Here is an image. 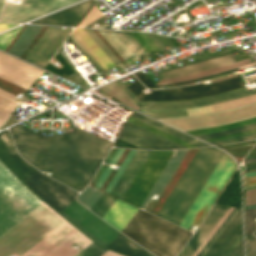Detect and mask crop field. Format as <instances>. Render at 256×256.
<instances>
[{"mask_svg": "<svg viewBox=\"0 0 256 256\" xmlns=\"http://www.w3.org/2000/svg\"><path fill=\"white\" fill-rule=\"evenodd\" d=\"M237 208L234 209V211L230 214V216L225 220V222L221 225V227L217 230V232L213 235V237L208 241V243L204 246V248L200 251V253L197 256H202L204 252L208 249V247L211 245V243L215 240V238L219 235V233L222 231V229L226 226V224L230 221V219L233 217V215L237 212Z\"/></svg>", "mask_w": 256, "mask_h": 256, "instance_id": "obj_44", "label": "crop field"}, {"mask_svg": "<svg viewBox=\"0 0 256 256\" xmlns=\"http://www.w3.org/2000/svg\"><path fill=\"white\" fill-rule=\"evenodd\" d=\"M156 36V38L161 42V44L163 45V46H167V44L169 45V46H171V47H174V45L166 38V37H162L164 40H165V42L167 43H165L164 41H163V39L160 37V36H157V35H155Z\"/></svg>", "mask_w": 256, "mask_h": 256, "instance_id": "obj_55", "label": "crop field"}, {"mask_svg": "<svg viewBox=\"0 0 256 256\" xmlns=\"http://www.w3.org/2000/svg\"><path fill=\"white\" fill-rule=\"evenodd\" d=\"M122 88L133 98V100L139 105V107H152V108H174V107H185V106H192V105H198V104H204V103H209L213 101H218V100H224L228 98H233L245 94H249L252 92H256L255 90L249 92L247 90L240 91V92H235L231 94H226L218 97H214L211 99L207 100H200V101H191V102H184V103H174V104H153V103H140V101L135 97V95L124 85V83L118 79L116 80Z\"/></svg>", "mask_w": 256, "mask_h": 256, "instance_id": "obj_23", "label": "crop field"}, {"mask_svg": "<svg viewBox=\"0 0 256 256\" xmlns=\"http://www.w3.org/2000/svg\"><path fill=\"white\" fill-rule=\"evenodd\" d=\"M77 40L88 50V52L99 62L104 70L114 67L115 65L103 53V51L94 43L83 29L76 28L72 33Z\"/></svg>", "mask_w": 256, "mask_h": 256, "instance_id": "obj_24", "label": "crop field"}, {"mask_svg": "<svg viewBox=\"0 0 256 256\" xmlns=\"http://www.w3.org/2000/svg\"><path fill=\"white\" fill-rule=\"evenodd\" d=\"M42 202L0 162V236Z\"/></svg>", "mask_w": 256, "mask_h": 256, "instance_id": "obj_5", "label": "crop field"}, {"mask_svg": "<svg viewBox=\"0 0 256 256\" xmlns=\"http://www.w3.org/2000/svg\"><path fill=\"white\" fill-rule=\"evenodd\" d=\"M111 168L107 167V169L105 170V172L103 173L102 177L100 178V180L98 181V183L96 184L95 187L99 188L102 186V184L104 183L105 179L107 178V176L109 175V173L111 172Z\"/></svg>", "mask_w": 256, "mask_h": 256, "instance_id": "obj_50", "label": "crop field"}, {"mask_svg": "<svg viewBox=\"0 0 256 256\" xmlns=\"http://www.w3.org/2000/svg\"><path fill=\"white\" fill-rule=\"evenodd\" d=\"M98 31L124 60L130 57L133 59H138V55L141 54L147 56V52L137 43L129 32L105 30Z\"/></svg>", "mask_w": 256, "mask_h": 256, "instance_id": "obj_17", "label": "crop field"}, {"mask_svg": "<svg viewBox=\"0 0 256 256\" xmlns=\"http://www.w3.org/2000/svg\"><path fill=\"white\" fill-rule=\"evenodd\" d=\"M62 222L40 204L0 237V256H21Z\"/></svg>", "mask_w": 256, "mask_h": 256, "instance_id": "obj_4", "label": "crop field"}, {"mask_svg": "<svg viewBox=\"0 0 256 256\" xmlns=\"http://www.w3.org/2000/svg\"><path fill=\"white\" fill-rule=\"evenodd\" d=\"M228 256H243L242 238Z\"/></svg>", "mask_w": 256, "mask_h": 256, "instance_id": "obj_47", "label": "crop field"}, {"mask_svg": "<svg viewBox=\"0 0 256 256\" xmlns=\"http://www.w3.org/2000/svg\"><path fill=\"white\" fill-rule=\"evenodd\" d=\"M172 154L173 151H151L123 200L140 207Z\"/></svg>", "mask_w": 256, "mask_h": 256, "instance_id": "obj_10", "label": "crop field"}, {"mask_svg": "<svg viewBox=\"0 0 256 256\" xmlns=\"http://www.w3.org/2000/svg\"><path fill=\"white\" fill-rule=\"evenodd\" d=\"M16 147L28 162L81 191L102 163L112 142L73 126V132L45 137L19 124L10 128Z\"/></svg>", "mask_w": 256, "mask_h": 256, "instance_id": "obj_1", "label": "crop field"}, {"mask_svg": "<svg viewBox=\"0 0 256 256\" xmlns=\"http://www.w3.org/2000/svg\"><path fill=\"white\" fill-rule=\"evenodd\" d=\"M149 39L161 50H165V48L160 44V42L155 38V36L153 34H148V33H145Z\"/></svg>", "mask_w": 256, "mask_h": 256, "instance_id": "obj_51", "label": "crop field"}, {"mask_svg": "<svg viewBox=\"0 0 256 256\" xmlns=\"http://www.w3.org/2000/svg\"><path fill=\"white\" fill-rule=\"evenodd\" d=\"M0 158L23 180L38 171L17 154L7 130L0 132Z\"/></svg>", "mask_w": 256, "mask_h": 256, "instance_id": "obj_16", "label": "crop field"}, {"mask_svg": "<svg viewBox=\"0 0 256 256\" xmlns=\"http://www.w3.org/2000/svg\"><path fill=\"white\" fill-rule=\"evenodd\" d=\"M123 151L124 149L118 148L117 152L115 153L112 160L110 161V164H115V162L117 161V159L119 158V156L122 154Z\"/></svg>", "mask_w": 256, "mask_h": 256, "instance_id": "obj_54", "label": "crop field"}, {"mask_svg": "<svg viewBox=\"0 0 256 256\" xmlns=\"http://www.w3.org/2000/svg\"><path fill=\"white\" fill-rule=\"evenodd\" d=\"M256 81V80H255Z\"/></svg>", "mask_w": 256, "mask_h": 256, "instance_id": "obj_70", "label": "crop field"}, {"mask_svg": "<svg viewBox=\"0 0 256 256\" xmlns=\"http://www.w3.org/2000/svg\"><path fill=\"white\" fill-rule=\"evenodd\" d=\"M251 139H256V136L247 137V138H242V139L233 140V141L222 142V143H216V144L231 143V142H239V141H245V140H251Z\"/></svg>", "mask_w": 256, "mask_h": 256, "instance_id": "obj_57", "label": "crop field"}, {"mask_svg": "<svg viewBox=\"0 0 256 256\" xmlns=\"http://www.w3.org/2000/svg\"><path fill=\"white\" fill-rule=\"evenodd\" d=\"M252 94H255V93H252ZM249 95H251V94H249ZM245 96H247V95H245ZM241 97H243V96H241ZM237 98H239V97H237ZM233 99H235V98H233ZM229 100H231V99H229ZM224 101H228V100H224ZM224 101H219V102H214V103H220V102H224ZM214 103H210V104H214ZM205 105H208V104H205ZM199 106H203V105H199ZM192 107H198V106H192ZM192 107H185V108H174V109H152V108H137V109H152V110H175V109H186V108H192Z\"/></svg>", "mask_w": 256, "mask_h": 256, "instance_id": "obj_52", "label": "crop field"}, {"mask_svg": "<svg viewBox=\"0 0 256 256\" xmlns=\"http://www.w3.org/2000/svg\"><path fill=\"white\" fill-rule=\"evenodd\" d=\"M135 152H136V150H131L130 149V151L127 154L126 158L124 159V161L122 162L121 166L119 167V169L115 173L114 177L112 178V180L108 184L107 188L105 189V192L110 193V191L112 190L113 186L115 185V183L119 179L120 175L122 174V172L126 168L127 164L129 163V161L131 160V158L133 157Z\"/></svg>", "mask_w": 256, "mask_h": 256, "instance_id": "obj_36", "label": "crop field"}, {"mask_svg": "<svg viewBox=\"0 0 256 256\" xmlns=\"http://www.w3.org/2000/svg\"><path fill=\"white\" fill-rule=\"evenodd\" d=\"M186 231L139 209L121 232L158 256H175L192 234Z\"/></svg>", "mask_w": 256, "mask_h": 256, "instance_id": "obj_3", "label": "crop field"}, {"mask_svg": "<svg viewBox=\"0 0 256 256\" xmlns=\"http://www.w3.org/2000/svg\"><path fill=\"white\" fill-rule=\"evenodd\" d=\"M107 247L119 253L130 256H154L138 244L134 243L133 241L122 235L121 233L114 240H112L107 245Z\"/></svg>", "mask_w": 256, "mask_h": 256, "instance_id": "obj_26", "label": "crop field"}, {"mask_svg": "<svg viewBox=\"0 0 256 256\" xmlns=\"http://www.w3.org/2000/svg\"><path fill=\"white\" fill-rule=\"evenodd\" d=\"M229 75H230V74L222 75V76H219V77L212 78L211 80L218 79V78H222V77H226V76H229Z\"/></svg>", "mask_w": 256, "mask_h": 256, "instance_id": "obj_64", "label": "crop field"}, {"mask_svg": "<svg viewBox=\"0 0 256 256\" xmlns=\"http://www.w3.org/2000/svg\"><path fill=\"white\" fill-rule=\"evenodd\" d=\"M60 28L49 26L25 60L44 66L72 31V28Z\"/></svg>", "mask_w": 256, "mask_h": 256, "instance_id": "obj_13", "label": "crop field"}, {"mask_svg": "<svg viewBox=\"0 0 256 256\" xmlns=\"http://www.w3.org/2000/svg\"><path fill=\"white\" fill-rule=\"evenodd\" d=\"M253 144H256V143H253ZM247 145H252V144H247ZM242 146H246V145H242ZM237 147H240V146H237ZM234 148V147H233Z\"/></svg>", "mask_w": 256, "mask_h": 256, "instance_id": "obj_68", "label": "crop field"}, {"mask_svg": "<svg viewBox=\"0 0 256 256\" xmlns=\"http://www.w3.org/2000/svg\"><path fill=\"white\" fill-rule=\"evenodd\" d=\"M92 242L66 221L24 256H73L78 252L70 247L73 243L82 250Z\"/></svg>", "mask_w": 256, "mask_h": 256, "instance_id": "obj_9", "label": "crop field"}, {"mask_svg": "<svg viewBox=\"0 0 256 256\" xmlns=\"http://www.w3.org/2000/svg\"><path fill=\"white\" fill-rule=\"evenodd\" d=\"M246 208H248V209H255V208H256V205L248 206V207H246Z\"/></svg>", "mask_w": 256, "mask_h": 256, "instance_id": "obj_66", "label": "crop field"}, {"mask_svg": "<svg viewBox=\"0 0 256 256\" xmlns=\"http://www.w3.org/2000/svg\"><path fill=\"white\" fill-rule=\"evenodd\" d=\"M236 61L237 60L233 57V55L230 54V55L222 56V57H219V58L211 59V60H208V61L200 62V63H197V64H193V65H190V66H186V67H183V68L168 71V72H165V73H161V74L164 75L162 77V79H167V78L181 76V75H187V74L199 72V71H202V70L210 69V68H213V67L225 65V64H228V63L236 62Z\"/></svg>", "mask_w": 256, "mask_h": 256, "instance_id": "obj_22", "label": "crop field"}, {"mask_svg": "<svg viewBox=\"0 0 256 256\" xmlns=\"http://www.w3.org/2000/svg\"><path fill=\"white\" fill-rule=\"evenodd\" d=\"M134 38L143 46V48L148 52L160 51L144 33L130 32Z\"/></svg>", "mask_w": 256, "mask_h": 256, "instance_id": "obj_38", "label": "crop field"}, {"mask_svg": "<svg viewBox=\"0 0 256 256\" xmlns=\"http://www.w3.org/2000/svg\"><path fill=\"white\" fill-rule=\"evenodd\" d=\"M118 139L143 149H182L184 147L162 138L152 132L126 122Z\"/></svg>", "mask_w": 256, "mask_h": 256, "instance_id": "obj_14", "label": "crop field"}, {"mask_svg": "<svg viewBox=\"0 0 256 256\" xmlns=\"http://www.w3.org/2000/svg\"><path fill=\"white\" fill-rule=\"evenodd\" d=\"M253 130H256V129H253ZM253 130H249V131H253ZM249 131H245V132H249ZM245 132H241V133H245ZM237 134H240V133H237ZM233 135H236V134H233ZM229 136H231V135H229ZM223 137H225V136H223ZM218 138H220V137H218ZM212 139H214V138H212ZM206 140H208V139H206Z\"/></svg>", "mask_w": 256, "mask_h": 256, "instance_id": "obj_65", "label": "crop field"}, {"mask_svg": "<svg viewBox=\"0 0 256 256\" xmlns=\"http://www.w3.org/2000/svg\"><path fill=\"white\" fill-rule=\"evenodd\" d=\"M24 182L43 200L58 211H62L77 193L44 176L39 171L24 180Z\"/></svg>", "mask_w": 256, "mask_h": 256, "instance_id": "obj_12", "label": "crop field"}, {"mask_svg": "<svg viewBox=\"0 0 256 256\" xmlns=\"http://www.w3.org/2000/svg\"><path fill=\"white\" fill-rule=\"evenodd\" d=\"M233 207H230L229 210L225 213V215L221 218L218 224L214 227V229L210 232V234L206 237V239L202 242V244L198 247V249L194 252L192 256H196L199 251L203 248V246L207 243V241L212 237V235L216 232V230L220 227V225L224 222V220L229 216V214L233 211Z\"/></svg>", "mask_w": 256, "mask_h": 256, "instance_id": "obj_43", "label": "crop field"}, {"mask_svg": "<svg viewBox=\"0 0 256 256\" xmlns=\"http://www.w3.org/2000/svg\"><path fill=\"white\" fill-rule=\"evenodd\" d=\"M239 75V74H238ZM136 83L129 86L131 91L138 97L140 101H172V100H183L201 96H207L239 87H243L242 80L240 75L237 77L229 78L226 80L214 82L213 84L204 86L203 83L196 84L187 87L181 88H171V89H160V90H150L151 93L145 95L141 90L145 89V87L138 82L132 75H129Z\"/></svg>", "mask_w": 256, "mask_h": 256, "instance_id": "obj_7", "label": "crop field"}, {"mask_svg": "<svg viewBox=\"0 0 256 256\" xmlns=\"http://www.w3.org/2000/svg\"><path fill=\"white\" fill-rule=\"evenodd\" d=\"M115 200L116 198L103 193L90 210L102 218L107 210L111 207V205L115 202Z\"/></svg>", "mask_w": 256, "mask_h": 256, "instance_id": "obj_31", "label": "crop field"}, {"mask_svg": "<svg viewBox=\"0 0 256 256\" xmlns=\"http://www.w3.org/2000/svg\"><path fill=\"white\" fill-rule=\"evenodd\" d=\"M224 152L198 148L158 216L179 225Z\"/></svg>", "mask_w": 256, "mask_h": 256, "instance_id": "obj_2", "label": "crop field"}, {"mask_svg": "<svg viewBox=\"0 0 256 256\" xmlns=\"http://www.w3.org/2000/svg\"><path fill=\"white\" fill-rule=\"evenodd\" d=\"M18 24H3V23H0V32L1 31H4V30H7L9 28H12L14 26H17Z\"/></svg>", "mask_w": 256, "mask_h": 256, "instance_id": "obj_56", "label": "crop field"}, {"mask_svg": "<svg viewBox=\"0 0 256 256\" xmlns=\"http://www.w3.org/2000/svg\"><path fill=\"white\" fill-rule=\"evenodd\" d=\"M41 26L35 25H27L12 47L9 49L8 53L19 57L37 31L40 29Z\"/></svg>", "mask_w": 256, "mask_h": 256, "instance_id": "obj_29", "label": "crop field"}, {"mask_svg": "<svg viewBox=\"0 0 256 256\" xmlns=\"http://www.w3.org/2000/svg\"><path fill=\"white\" fill-rule=\"evenodd\" d=\"M102 256H121V255H119V254H117V253H114V252L108 250V251L105 252Z\"/></svg>", "mask_w": 256, "mask_h": 256, "instance_id": "obj_59", "label": "crop field"}, {"mask_svg": "<svg viewBox=\"0 0 256 256\" xmlns=\"http://www.w3.org/2000/svg\"><path fill=\"white\" fill-rule=\"evenodd\" d=\"M249 158H256V155L255 156L246 157L245 159H249Z\"/></svg>", "mask_w": 256, "mask_h": 256, "instance_id": "obj_67", "label": "crop field"}, {"mask_svg": "<svg viewBox=\"0 0 256 256\" xmlns=\"http://www.w3.org/2000/svg\"><path fill=\"white\" fill-rule=\"evenodd\" d=\"M79 0H22L21 5L6 3L0 21L25 22ZM3 0H0V10Z\"/></svg>", "mask_w": 256, "mask_h": 256, "instance_id": "obj_11", "label": "crop field"}, {"mask_svg": "<svg viewBox=\"0 0 256 256\" xmlns=\"http://www.w3.org/2000/svg\"><path fill=\"white\" fill-rule=\"evenodd\" d=\"M105 251H107V249L101 248L93 242L76 256H100Z\"/></svg>", "mask_w": 256, "mask_h": 256, "instance_id": "obj_40", "label": "crop field"}, {"mask_svg": "<svg viewBox=\"0 0 256 256\" xmlns=\"http://www.w3.org/2000/svg\"><path fill=\"white\" fill-rule=\"evenodd\" d=\"M254 122H256V117L247 119V120H243V121H239V122H235V123H231V124L208 127V128L192 130V131H187V132L190 134H193V135H197V134H203V133H209V132L219 131V130H223V129L233 128V127H237V126H241V125H245V124H249V123H254Z\"/></svg>", "mask_w": 256, "mask_h": 256, "instance_id": "obj_32", "label": "crop field"}, {"mask_svg": "<svg viewBox=\"0 0 256 256\" xmlns=\"http://www.w3.org/2000/svg\"><path fill=\"white\" fill-rule=\"evenodd\" d=\"M244 89H246V88L244 87V88H240V89H236V90H232V91H228V92H224V93H220V94H215V95H211V96H207V97H202V98L183 100V101H173V102H184V101H191V100L207 99V98H211V97H214V96H218V95H222V94H226V93H231V92H235V91H240V90H244ZM173 102H154V103H173Z\"/></svg>", "mask_w": 256, "mask_h": 256, "instance_id": "obj_49", "label": "crop field"}, {"mask_svg": "<svg viewBox=\"0 0 256 256\" xmlns=\"http://www.w3.org/2000/svg\"><path fill=\"white\" fill-rule=\"evenodd\" d=\"M252 128H256V123L245 125V126H241V127H237V128H233V129H228V130H224V131H219V132H214V133H209V134H204V135H198V137L206 139V138H210V137H215V136L235 133V132H239V131H243V130H248V129H252Z\"/></svg>", "mask_w": 256, "mask_h": 256, "instance_id": "obj_39", "label": "crop field"}, {"mask_svg": "<svg viewBox=\"0 0 256 256\" xmlns=\"http://www.w3.org/2000/svg\"><path fill=\"white\" fill-rule=\"evenodd\" d=\"M252 135H256V132L250 133V134H245V135H240V136H236V137L226 138V139H220V140L210 141V142L215 143V142L233 140V139H238V138L247 137V136H252Z\"/></svg>", "mask_w": 256, "mask_h": 256, "instance_id": "obj_53", "label": "crop field"}, {"mask_svg": "<svg viewBox=\"0 0 256 256\" xmlns=\"http://www.w3.org/2000/svg\"><path fill=\"white\" fill-rule=\"evenodd\" d=\"M106 94L112 96L113 98L133 107L136 109L138 106L123 90L122 88L114 81L112 83L103 85L99 87Z\"/></svg>", "mask_w": 256, "mask_h": 256, "instance_id": "obj_30", "label": "crop field"}, {"mask_svg": "<svg viewBox=\"0 0 256 256\" xmlns=\"http://www.w3.org/2000/svg\"><path fill=\"white\" fill-rule=\"evenodd\" d=\"M128 121H130V122H132V123H134V124H136L138 126H141V127L145 128V129H147L149 131H152V132H154V133H156V134H158V135H160L162 137H165V138H167V139H169V140H171L173 142H176V143H178V144H180V145H182V146H184L186 148L195 147V146H193L191 144H188L189 142L186 143V142H184V141H182L180 139H177V138H175V137H173L171 135H168V134H166V133H164V132H162L160 130H157V129L151 127V126H148V125H146V124H144V123H142L140 121H137V120H135V119H133L131 117H129Z\"/></svg>", "mask_w": 256, "mask_h": 256, "instance_id": "obj_34", "label": "crop field"}, {"mask_svg": "<svg viewBox=\"0 0 256 256\" xmlns=\"http://www.w3.org/2000/svg\"><path fill=\"white\" fill-rule=\"evenodd\" d=\"M149 153L150 151L137 150L134 157L132 158L127 168L125 169L120 179L111 191V194L122 199L123 195L127 191L128 187L130 186L131 182L138 173Z\"/></svg>", "mask_w": 256, "mask_h": 256, "instance_id": "obj_20", "label": "crop field"}, {"mask_svg": "<svg viewBox=\"0 0 256 256\" xmlns=\"http://www.w3.org/2000/svg\"><path fill=\"white\" fill-rule=\"evenodd\" d=\"M92 189L93 187L88 186L77 198V200L80 203H82L84 206H86L89 209L102 193L99 190L94 191Z\"/></svg>", "mask_w": 256, "mask_h": 256, "instance_id": "obj_33", "label": "crop field"}, {"mask_svg": "<svg viewBox=\"0 0 256 256\" xmlns=\"http://www.w3.org/2000/svg\"><path fill=\"white\" fill-rule=\"evenodd\" d=\"M234 71H238V68H237V69L230 70V71L222 72V73H219V74H215V75H211V76L199 78V79H194V80H190V81H185V82L200 81V80L212 78V77H215V76H219V75L225 74V73H227V72L230 73V72H234ZM135 75H136L147 87L152 88V89H153V87H158V86H155L141 71L135 73ZM185 82H179V83H185ZM173 84H178V83H173ZM167 85H172V84H167ZM159 86H166V85H159Z\"/></svg>", "mask_w": 256, "mask_h": 256, "instance_id": "obj_37", "label": "crop field"}, {"mask_svg": "<svg viewBox=\"0 0 256 256\" xmlns=\"http://www.w3.org/2000/svg\"><path fill=\"white\" fill-rule=\"evenodd\" d=\"M256 169V165L245 166V171Z\"/></svg>", "mask_w": 256, "mask_h": 256, "instance_id": "obj_60", "label": "crop field"}, {"mask_svg": "<svg viewBox=\"0 0 256 256\" xmlns=\"http://www.w3.org/2000/svg\"><path fill=\"white\" fill-rule=\"evenodd\" d=\"M254 175H256V172L245 173V177L254 176Z\"/></svg>", "mask_w": 256, "mask_h": 256, "instance_id": "obj_62", "label": "crop field"}, {"mask_svg": "<svg viewBox=\"0 0 256 256\" xmlns=\"http://www.w3.org/2000/svg\"><path fill=\"white\" fill-rule=\"evenodd\" d=\"M42 72L41 69L0 52V77L27 90ZM0 94L14 100L15 96L0 89ZM16 103L0 95V125L5 122Z\"/></svg>", "mask_w": 256, "mask_h": 256, "instance_id": "obj_8", "label": "crop field"}, {"mask_svg": "<svg viewBox=\"0 0 256 256\" xmlns=\"http://www.w3.org/2000/svg\"><path fill=\"white\" fill-rule=\"evenodd\" d=\"M254 215H256V210H245L247 235H250V236L253 235L256 229V223L254 222Z\"/></svg>", "mask_w": 256, "mask_h": 256, "instance_id": "obj_41", "label": "crop field"}, {"mask_svg": "<svg viewBox=\"0 0 256 256\" xmlns=\"http://www.w3.org/2000/svg\"><path fill=\"white\" fill-rule=\"evenodd\" d=\"M246 185L256 184V176L245 178Z\"/></svg>", "mask_w": 256, "mask_h": 256, "instance_id": "obj_58", "label": "crop field"}, {"mask_svg": "<svg viewBox=\"0 0 256 256\" xmlns=\"http://www.w3.org/2000/svg\"><path fill=\"white\" fill-rule=\"evenodd\" d=\"M256 189V185L246 186V191Z\"/></svg>", "mask_w": 256, "mask_h": 256, "instance_id": "obj_61", "label": "crop field"}, {"mask_svg": "<svg viewBox=\"0 0 256 256\" xmlns=\"http://www.w3.org/2000/svg\"><path fill=\"white\" fill-rule=\"evenodd\" d=\"M131 117H133V118H135L137 120H140V121H142V122H144V123H146L148 125H151V126L157 128V129H160V130H162V131H164V132H166L168 134H171V135H173V136H175L177 138H180V139H182V140H184L186 142H189V143H191V144H193V145H195L197 147L207 146L208 145V144H206V143H204L202 141H199V140L194 141L195 138L190 137V136H188V135H186V134H184L182 132H179V131L171 128V127H168V126H166V125H164V124H162L160 122H157V121H155V120H153V119H151V118H149L147 116H144V115L137 114V113L133 112Z\"/></svg>", "mask_w": 256, "mask_h": 256, "instance_id": "obj_27", "label": "crop field"}, {"mask_svg": "<svg viewBox=\"0 0 256 256\" xmlns=\"http://www.w3.org/2000/svg\"><path fill=\"white\" fill-rule=\"evenodd\" d=\"M93 3L88 0L63 11L57 12L45 18H42L33 23L38 24H53V25H67L75 26L84 12L92 5Z\"/></svg>", "mask_w": 256, "mask_h": 256, "instance_id": "obj_19", "label": "crop field"}, {"mask_svg": "<svg viewBox=\"0 0 256 256\" xmlns=\"http://www.w3.org/2000/svg\"><path fill=\"white\" fill-rule=\"evenodd\" d=\"M229 207L214 205L196 233L177 256H191Z\"/></svg>", "mask_w": 256, "mask_h": 256, "instance_id": "obj_18", "label": "crop field"}, {"mask_svg": "<svg viewBox=\"0 0 256 256\" xmlns=\"http://www.w3.org/2000/svg\"><path fill=\"white\" fill-rule=\"evenodd\" d=\"M256 204V190L246 192V206Z\"/></svg>", "mask_w": 256, "mask_h": 256, "instance_id": "obj_48", "label": "crop field"}, {"mask_svg": "<svg viewBox=\"0 0 256 256\" xmlns=\"http://www.w3.org/2000/svg\"><path fill=\"white\" fill-rule=\"evenodd\" d=\"M255 235H256V233H255Z\"/></svg>", "mask_w": 256, "mask_h": 256, "instance_id": "obj_69", "label": "crop field"}, {"mask_svg": "<svg viewBox=\"0 0 256 256\" xmlns=\"http://www.w3.org/2000/svg\"><path fill=\"white\" fill-rule=\"evenodd\" d=\"M70 38L74 41V43L85 53V55L92 61V63L98 68L101 69V67L98 65V63L90 56V54L83 48V46L75 39V37L71 34Z\"/></svg>", "mask_w": 256, "mask_h": 256, "instance_id": "obj_46", "label": "crop field"}, {"mask_svg": "<svg viewBox=\"0 0 256 256\" xmlns=\"http://www.w3.org/2000/svg\"><path fill=\"white\" fill-rule=\"evenodd\" d=\"M89 36L100 46V48L111 58V60L117 65L121 62L117 56L108 48V46L100 39V37L94 32L93 29H84Z\"/></svg>", "mask_w": 256, "mask_h": 256, "instance_id": "obj_35", "label": "crop field"}, {"mask_svg": "<svg viewBox=\"0 0 256 256\" xmlns=\"http://www.w3.org/2000/svg\"><path fill=\"white\" fill-rule=\"evenodd\" d=\"M251 162H256V159H249L244 161L245 164L251 163Z\"/></svg>", "mask_w": 256, "mask_h": 256, "instance_id": "obj_63", "label": "crop field"}, {"mask_svg": "<svg viewBox=\"0 0 256 256\" xmlns=\"http://www.w3.org/2000/svg\"><path fill=\"white\" fill-rule=\"evenodd\" d=\"M137 210L138 208L117 199L102 219L121 231Z\"/></svg>", "mask_w": 256, "mask_h": 256, "instance_id": "obj_21", "label": "crop field"}, {"mask_svg": "<svg viewBox=\"0 0 256 256\" xmlns=\"http://www.w3.org/2000/svg\"><path fill=\"white\" fill-rule=\"evenodd\" d=\"M17 27L13 30H10L8 32H5L3 34H0V48L5 50V48L8 46V44L11 42V40L13 39V37L16 35V33L19 31V29L21 28Z\"/></svg>", "mask_w": 256, "mask_h": 256, "instance_id": "obj_42", "label": "crop field"}, {"mask_svg": "<svg viewBox=\"0 0 256 256\" xmlns=\"http://www.w3.org/2000/svg\"><path fill=\"white\" fill-rule=\"evenodd\" d=\"M187 149H182V150H176L175 157H171L170 161L166 165L165 169L161 173L160 177L154 184L153 188L149 192L148 196L144 200L143 204L141 205V208H144L146 203L149 201V198L153 193H156L160 195L161 191L165 187L166 183L168 182L169 178L173 174L174 170L178 166L179 162L181 161L182 157L186 153Z\"/></svg>", "mask_w": 256, "mask_h": 256, "instance_id": "obj_25", "label": "crop field"}, {"mask_svg": "<svg viewBox=\"0 0 256 256\" xmlns=\"http://www.w3.org/2000/svg\"><path fill=\"white\" fill-rule=\"evenodd\" d=\"M255 62L256 61L249 62V59H247V60H243V61H240V62L228 64V65H225V66L217 67V68H214V69L202 71V72L187 75V76H181V77L171 78V79H167V80H162V81H159L157 85L179 82V81H185V80L194 79V78H199V77L215 74V73H218V72H222V71H225V70H229V69H232V68L252 64V63H255Z\"/></svg>", "mask_w": 256, "mask_h": 256, "instance_id": "obj_28", "label": "crop field"}, {"mask_svg": "<svg viewBox=\"0 0 256 256\" xmlns=\"http://www.w3.org/2000/svg\"><path fill=\"white\" fill-rule=\"evenodd\" d=\"M241 232L242 225L239 209L203 256H227L241 238Z\"/></svg>", "mask_w": 256, "mask_h": 256, "instance_id": "obj_15", "label": "crop field"}, {"mask_svg": "<svg viewBox=\"0 0 256 256\" xmlns=\"http://www.w3.org/2000/svg\"><path fill=\"white\" fill-rule=\"evenodd\" d=\"M236 166V162L224 153L179 226L189 230L192 224L199 225L229 181Z\"/></svg>", "mask_w": 256, "mask_h": 256, "instance_id": "obj_6", "label": "crop field"}, {"mask_svg": "<svg viewBox=\"0 0 256 256\" xmlns=\"http://www.w3.org/2000/svg\"><path fill=\"white\" fill-rule=\"evenodd\" d=\"M248 256H256V238L247 237Z\"/></svg>", "mask_w": 256, "mask_h": 256, "instance_id": "obj_45", "label": "crop field"}]
</instances>
